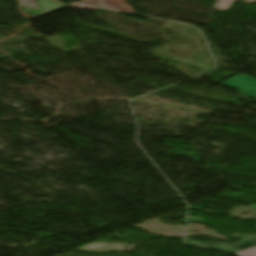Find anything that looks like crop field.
<instances>
[{
	"label": "crop field",
	"instance_id": "obj_2",
	"mask_svg": "<svg viewBox=\"0 0 256 256\" xmlns=\"http://www.w3.org/2000/svg\"><path fill=\"white\" fill-rule=\"evenodd\" d=\"M222 85L236 89L241 94L248 95L256 98V79L245 75H238L224 83Z\"/></svg>",
	"mask_w": 256,
	"mask_h": 256
},
{
	"label": "crop field",
	"instance_id": "obj_4",
	"mask_svg": "<svg viewBox=\"0 0 256 256\" xmlns=\"http://www.w3.org/2000/svg\"><path fill=\"white\" fill-rule=\"evenodd\" d=\"M220 1L215 8H218L222 11L227 10L236 0H218ZM247 3L254 4L256 0H243Z\"/></svg>",
	"mask_w": 256,
	"mask_h": 256
},
{
	"label": "crop field",
	"instance_id": "obj_3",
	"mask_svg": "<svg viewBox=\"0 0 256 256\" xmlns=\"http://www.w3.org/2000/svg\"><path fill=\"white\" fill-rule=\"evenodd\" d=\"M135 246L136 245L92 242L76 250L91 251V252H102V251H110V250L132 251L135 249Z\"/></svg>",
	"mask_w": 256,
	"mask_h": 256
},
{
	"label": "crop field",
	"instance_id": "obj_5",
	"mask_svg": "<svg viewBox=\"0 0 256 256\" xmlns=\"http://www.w3.org/2000/svg\"><path fill=\"white\" fill-rule=\"evenodd\" d=\"M239 256H256V247L237 253Z\"/></svg>",
	"mask_w": 256,
	"mask_h": 256
},
{
	"label": "crop field",
	"instance_id": "obj_1",
	"mask_svg": "<svg viewBox=\"0 0 256 256\" xmlns=\"http://www.w3.org/2000/svg\"><path fill=\"white\" fill-rule=\"evenodd\" d=\"M250 206L256 208V205H250ZM232 236L243 237V239L240 242L236 243L235 245L220 244V243H208V242H196V241H190V242H188V244L198 245V246H203V247H208V248H213V249L228 250V251H232L235 253L245 250L247 248L256 246V235L243 236V235L233 234Z\"/></svg>",
	"mask_w": 256,
	"mask_h": 256
}]
</instances>
